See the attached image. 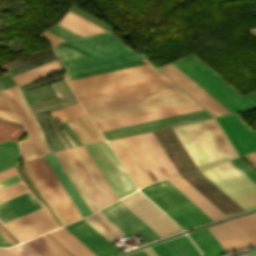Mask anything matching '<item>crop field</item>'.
Listing matches in <instances>:
<instances>
[{"label":"crop field","mask_w":256,"mask_h":256,"mask_svg":"<svg viewBox=\"0 0 256 256\" xmlns=\"http://www.w3.org/2000/svg\"><path fill=\"white\" fill-rule=\"evenodd\" d=\"M55 53L68 73H77L109 65L143 59L110 32L61 43Z\"/></svg>","instance_id":"crop-field-1"},{"label":"crop field","mask_w":256,"mask_h":256,"mask_svg":"<svg viewBox=\"0 0 256 256\" xmlns=\"http://www.w3.org/2000/svg\"><path fill=\"white\" fill-rule=\"evenodd\" d=\"M172 64L231 113L256 109V104L254 105L245 98L193 53L172 62Z\"/></svg>","instance_id":"crop-field-2"},{"label":"crop field","mask_w":256,"mask_h":256,"mask_svg":"<svg viewBox=\"0 0 256 256\" xmlns=\"http://www.w3.org/2000/svg\"><path fill=\"white\" fill-rule=\"evenodd\" d=\"M140 190L185 229L212 221L167 180L147 185Z\"/></svg>","instance_id":"crop-field-3"},{"label":"crop field","mask_w":256,"mask_h":256,"mask_svg":"<svg viewBox=\"0 0 256 256\" xmlns=\"http://www.w3.org/2000/svg\"><path fill=\"white\" fill-rule=\"evenodd\" d=\"M108 142L137 187L164 179L138 135Z\"/></svg>","instance_id":"crop-field-4"},{"label":"crop field","mask_w":256,"mask_h":256,"mask_svg":"<svg viewBox=\"0 0 256 256\" xmlns=\"http://www.w3.org/2000/svg\"><path fill=\"white\" fill-rule=\"evenodd\" d=\"M200 171L245 210L256 206V184L229 160Z\"/></svg>","instance_id":"crop-field-5"},{"label":"crop field","mask_w":256,"mask_h":256,"mask_svg":"<svg viewBox=\"0 0 256 256\" xmlns=\"http://www.w3.org/2000/svg\"><path fill=\"white\" fill-rule=\"evenodd\" d=\"M197 168L226 159L203 121L173 127Z\"/></svg>","instance_id":"crop-field-6"},{"label":"crop field","mask_w":256,"mask_h":256,"mask_svg":"<svg viewBox=\"0 0 256 256\" xmlns=\"http://www.w3.org/2000/svg\"><path fill=\"white\" fill-rule=\"evenodd\" d=\"M27 165L54 203L66 224L83 218L44 157L29 161Z\"/></svg>","instance_id":"crop-field-7"},{"label":"crop field","mask_w":256,"mask_h":256,"mask_svg":"<svg viewBox=\"0 0 256 256\" xmlns=\"http://www.w3.org/2000/svg\"><path fill=\"white\" fill-rule=\"evenodd\" d=\"M85 148L113 189L118 199L136 190L107 143L86 145Z\"/></svg>","instance_id":"crop-field-8"},{"label":"crop field","mask_w":256,"mask_h":256,"mask_svg":"<svg viewBox=\"0 0 256 256\" xmlns=\"http://www.w3.org/2000/svg\"><path fill=\"white\" fill-rule=\"evenodd\" d=\"M170 81L81 100L86 112L180 92Z\"/></svg>","instance_id":"crop-field-9"},{"label":"crop field","mask_w":256,"mask_h":256,"mask_svg":"<svg viewBox=\"0 0 256 256\" xmlns=\"http://www.w3.org/2000/svg\"><path fill=\"white\" fill-rule=\"evenodd\" d=\"M183 92L89 112L94 123L192 102Z\"/></svg>","instance_id":"crop-field-10"},{"label":"crop field","mask_w":256,"mask_h":256,"mask_svg":"<svg viewBox=\"0 0 256 256\" xmlns=\"http://www.w3.org/2000/svg\"><path fill=\"white\" fill-rule=\"evenodd\" d=\"M160 237L180 231L181 228L149 202L139 191L119 200Z\"/></svg>","instance_id":"crop-field-11"},{"label":"crop field","mask_w":256,"mask_h":256,"mask_svg":"<svg viewBox=\"0 0 256 256\" xmlns=\"http://www.w3.org/2000/svg\"><path fill=\"white\" fill-rule=\"evenodd\" d=\"M161 76L151 65L70 82L75 94Z\"/></svg>","instance_id":"crop-field-12"},{"label":"crop field","mask_w":256,"mask_h":256,"mask_svg":"<svg viewBox=\"0 0 256 256\" xmlns=\"http://www.w3.org/2000/svg\"><path fill=\"white\" fill-rule=\"evenodd\" d=\"M209 117H212V116L208 114L204 109H201L197 111H192V112L165 117L161 119H156L148 122H143L139 124H134L130 126L103 131L102 134L105 136L106 139L111 140V139L129 136L133 134L156 130L164 127H169L173 125L205 119Z\"/></svg>","instance_id":"crop-field-13"},{"label":"crop field","mask_w":256,"mask_h":256,"mask_svg":"<svg viewBox=\"0 0 256 256\" xmlns=\"http://www.w3.org/2000/svg\"><path fill=\"white\" fill-rule=\"evenodd\" d=\"M157 69L161 71L165 76H167L171 81H173L178 87H180L184 92H186L190 97H192L197 103H199L213 116L230 113L171 63Z\"/></svg>","instance_id":"crop-field-14"},{"label":"crop field","mask_w":256,"mask_h":256,"mask_svg":"<svg viewBox=\"0 0 256 256\" xmlns=\"http://www.w3.org/2000/svg\"><path fill=\"white\" fill-rule=\"evenodd\" d=\"M194 187H196L203 195L213 202L227 216L244 211L235 201L217 187L199 170L181 174Z\"/></svg>","instance_id":"crop-field-15"},{"label":"crop field","mask_w":256,"mask_h":256,"mask_svg":"<svg viewBox=\"0 0 256 256\" xmlns=\"http://www.w3.org/2000/svg\"><path fill=\"white\" fill-rule=\"evenodd\" d=\"M239 155L256 150V134L237 114L216 118Z\"/></svg>","instance_id":"crop-field-16"},{"label":"crop field","mask_w":256,"mask_h":256,"mask_svg":"<svg viewBox=\"0 0 256 256\" xmlns=\"http://www.w3.org/2000/svg\"><path fill=\"white\" fill-rule=\"evenodd\" d=\"M99 212L126 235L138 231L149 242L159 238L157 234H155L119 201Z\"/></svg>","instance_id":"crop-field-17"},{"label":"crop field","mask_w":256,"mask_h":256,"mask_svg":"<svg viewBox=\"0 0 256 256\" xmlns=\"http://www.w3.org/2000/svg\"><path fill=\"white\" fill-rule=\"evenodd\" d=\"M5 226L20 241L27 240L57 227L46 208L7 223Z\"/></svg>","instance_id":"crop-field-18"},{"label":"crop field","mask_w":256,"mask_h":256,"mask_svg":"<svg viewBox=\"0 0 256 256\" xmlns=\"http://www.w3.org/2000/svg\"><path fill=\"white\" fill-rule=\"evenodd\" d=\"M153 134L172 161L179 174L196 169L171 128L154 131Z\"/></svg>","instance_id":"crop-field-19"},{"label":"crop field","mask_w":256,"mask_h":256,"mask_svg":"<svg viewBox=\"0 0 256 256\" xmlns=\"http://www.w3.org/2000/svg\"><path fill=\"white\" fill-rule=\"evenodd\" d=\"M98 256H108L119 252L83 219L64 226Z\"/></svg>","instance_id":"crop-field-20"},{"label":"crop field","mask_w":256,"mask_h":256,"mask_svg":"<svg viewBox=\"0 0 256 256\" xmlns=\"http://www.w3.org/2000/svg\"><path fill=\"white\" fill-rule=\"evenodd\" d=\"M197 109H201V107L195 102H192L188 104L160 109V110L133 115L129 117H124L120 119L101 122V123H97L96 126L100 131H103L107 129L130 125L134 123H139L143 121H148L156 118H161V117L170 116V115L179 114V113L188 112V111L197 110Z\"/></svg>","instance_id":"crop-field-21"},{"label":"crop field","mask_w":256,"mask_h":256,"mask_svg":"<svg viewBox=\"0 0 256 256\" xmlns=\"http://www.w3.org/2000/svg\"><path fill=\"white\" fill-rule=\"evenodd\" d=\"M208 229L227 252L253 245L234 220L208 227Z\"/></svg>","instance_id":"crop-field-22"},{"label":"crop field","mask_w":256,"mask_h":256,"mask_svg":"<svg viewBox=\"0 0 256 256\" xmlns=\"http://www.w3.org/2000/svg\"><path fill=\"white\" fill-rule=\"evenodd\" d=\"M54 156L86 203L91 213L101 209L64 150L54 153Z\"/></svg>","instance_id":"crop-field-23"},{"label":"crop field","mask_w":256,"mask_h":256,"mask_svg":"<svg viewBox=\"0 0 256 256\" xmlns=\"http://www.w3.org/2000/svg\"><path fill=\"white\" fill-rule=\"evenodd\" d=\"M29 192L0 203V219L3 222L43 207Z\"/></svg>","instance_id":"crop-field-24"},{"label":"crop field","mask_w":256,"mask_h":256,"mask_svg":"<svg viewBox=\"0 0 256 256\" xmlns=\"http://www.w3.org/2000/svg\"><path fill=\"white\" fill-rule=\"evenodd\" d=\"M168 181L171 182L213 220L226 217L224 213H222L215 205H213L206 197H204L181 176L168 179Z\"/></svg>","instance_id":"crop-field-25"},{"label":"crop field","mask_w":256,"mask_h":256,"mask_svg":"<svg viewBox=\"0 0 256 256\" xmlns=\"http://www.w3.org/2000/svg\"><path fill=\"white\" fill-rule=\"evenodd\" d=\"M139 137L145 144L146 148L148 149L166 178L178 175L174 166L166 156L165 152L157 142L152 132L140 134Z\"/></svg>","instance_id":"crop-field-26"},{"label":"crop field","mask_w":256,"mask_h":256,"mask_svg":"<svg viewBox=\"0 0 256 256\" xmlns=\"http://www.w3.org/2000/svg\"><path fill=\"white\" fill-rule=\"evenodd\" d=\"M45 159L47 160V162L53 169L54 173L56 174V176L58 177V179L60 180V182L62 183V185L64 186V188L66 189V191L68 192L72 200L74 201L75 205L77 206V208L79 209L83 217L91 214L88 208L86 207V205L84 204L83 200L81 199V197L79 196V194L77 193L73 185L71 184L70 180L68 179V177L66 176V174L64 173L60 165L58 164L53 154L45 156Z\"/></svg>","instance_id":"crop-field-27"},{"label":"crop field","mask_w":256,"mask_h":256,"mask_svg":"<svg viewBox=\"0 0 256 256\" xmlns=\"http://www.w3.org/2000/svg\"><path fill=\"white\" fill-rule=\"evenodd\" d=\"M73 256H96L64 227L48 233Z\"/></svg>","instance_id":"crop-field-28"},{"label":"crop field","mask_w":256,"mask_h":256,"mask_svg":"<svg viewBox=\"0 0 256 256\" xmlns=\"http://www.w3.org/2000/svg\"><path fill=\"white\" fill-rule=\"evenodd\" d=\"M189 235L205 256H220L226 253L207 228L190 233Z\"/></svg>","instance_id":"crop-field-29"},{"label":"crop field","mask_w":256,"mask_h":256,"mask_svg":"<svg viewBox=\"0 0 256 256\" xmlns=\"http://www.w3.org/2000/svg\"><path fill=\"white\" fill-rule=\"evenodd\" d=\"M68 124L83 144L104 140L86 116L68 122Z\"/></svg>","instance_id":"crop-field-30"},{"label":"crop field","mask_w":256,"mask_h":256,"mask_svg":"<svg viewBox=\"0 0 256 256\" xmlns=\"http://www.w3.org/2000/svg\"><path fill=\"white\" fill-rule=\"evenodd\" d=\"M59 24L65 26L83 36L106 31L105 29H103V28L69 12V11L65 15V17L60 21Z\"/></svg>","instance_id":"crop-field-31"},{"label":"crop field","mask_w":256,"mask_h":256,"mask_svg":"<svg viewBox=\"0 0 256 256\" xmlns=\"http://www.w3.org/2000/svg\"><path fill=\"white\" fill-rule=\"evenodd\" d=\"M101 214L98 212L88 218H84V220L87 221L92 227H94L109 241L125 236L124 233H122L117 227H115Z\"/></svg>","instance_id":"crop-field-32"},{"label":"crop field","mask_w":256,"mask_h":256,"mask_svg":"<svg viewBox=\"0 0 256 256\" xmlns=\"http://www.w3.org/2000/svg\"><path fill=\"white\" fill-rule=\"evenodd\" d=\"M34 249L43 256H70L48 235H42L27 241Z\"/></svg>","instance_id":"crop-field-33"},{"label":"crop field","mask_w":256,"mask_h":256,"mask_svg":"<svg viewBox=\"0 0 256 256\" xmlns=\"http://www.w3.org/2000/svg\"><path fill=\"white\" fill-rule=\"evenodd\" d=\"M173 256H202L187 236H180L164 242Z\"/></svg>","instance_id":"crop-field-34"},{"label":"crop field","mask_w":256,"mask_h":256,"mask_svg":"<svg viewBox=\"0 0 256 256\" xmlns=\"http://www.w3.org/2000/svg\"><path fill=\"white\" fill-rule=\"evenodd\" d=\"M167 80L168 79H166L164 76H161V77H157V78H152V79H147V80H143V81L124 84V85H120V86H115V87L96 90V91H92V92L82 93V94H78L76 96H77L78 100H81V99H85V98L104 95V94H108V93H113V92L131 89V88H135V87L149 85V84H154V83L163 82V81H167Z\"/></svg>","instance_id":"crop-field-35"},{"label":"crop field","mask_w":256,"mask_h":256,"mask_svg":"<svg viewBox=\"0 0 256 256\" xmlns=\"http://www.w3.org/2000/svg\"><path fill=\"white\" fill-rule=\"evenodd\" d=\"M5 92H6L7 96L9 97L10 101L12 102L17 113L19 114L20 118L22 119V121L27 129V132L29 134V137L31 139V142L34 146L37 156L39 157V156L43 155V152H42L41 146L39 144V141L37 139L36 133L31 125L29 119L27 118L24 110L22 109L18 99L16 98L12 88L7 89Z\"/></svg>","instance_id":"crop-field-36"},{"label":"crop field","mask_w":256,"mask_h":256,"mask_svg":"<svg viewBox=\"0 0 256 256\" xmlns=\"http://www.w3.org/2000/svg\"><path fill=\"white\" fill-rule=\"evenodd\" d=\"M65 152L69 156L70 160L78 170L79 174L87 184L88 188L96 198L101 208L108 205L103 196L101 195V193L99 192V190L97 189V187L95 186V184L93 183V181L91 180V178L89 177V175L87 174V172L85 171V169L83 168V166L81 165V163L79 162V160L77 159V157L75 156V154L73 153V151L71 150V148L65 149Z\"/></svg>","instance_id":"crop-field-37"},{"label":"crop field","mask_w":256,"mask_h":256,"mask_svg":"<svg viewBox=\"0 0 256 256\" xmlns=\"http://www.w3.org/2000/svg\"><path fill=\"white\" fill-rule=\"evenodd\" d=\"M61 68V65L57 60L40 65L30 71L23 72L21 74L15 75L12 78H14L17 82V85L25 83L29 80L41 77L47 73H50L54 70H57Z\"/></svg>","instance_id":"crop-field-38"},{"label":"crop field","mask_w":256,"mask_h":256,"mask_svg":"<svg viewBox=\"0 0 256 256\" xmlns=\"http://www.w3.org/2000/svg\"><path fill=\"white\" fill-rule=\"evenodd\" d=\"M204 123L206 124V126L216 139L217 143L219 144L227 158L236 156V152L234 151L233 147L227 140L226 136L224 135L220 127L218 126L215 119L205 120Z\"/></svg>","instance_id":"crop-field-39"},{"label":"crop field","mask_w":256,"mask_h":256,"mask_svg":"<svg viewBox=\"0 0 256 256\" xmlns=\"http://www.w3.org/2000/svg\"><path fill=\"white\" fill-rule=\"evenodd\" d=\"M49 113L53 117V119L55 120V122L58 124V126L60 127V129L62 131H63V129L61 128V126L59 125V123L57 122V120L55 119L54 116H56L57 119L60 121V123H62V122H65V121H68L71 119H75V118L85 115L82 108L80 107L79 103L72 104V105L66 106L64 108H61L59 110L51 111ZM63 133L68 138V140L70 141L72 146H74L73 142L69 139V137L66 135V133L64 131H63Z\"/></svg>","instance_id":"crop-field-40"},{"label":"crop field","mask_w":256,"mask_h":256,"mask_svg":"<svg viewBox=\"0 0 256 256\" xmlns=\"http://www.w3.org/2000/svg\"><path fill=\"white\" fill-rule=\"evenodd\" d=\"M19 149L16 143L6 141L0 144V170L15 165L18 161Z\"/></svg>","instance_id":"crop-field-41"},{"label":"crop field","mask_w":256,"mask_h":256,"mask_svg":"<svg viewBox=\"0 0 256 256\" xmlns=\"http://www.w3.org/2000/svg\"><path fill=\"white\" fill-rule=\"evenodd\" d=\"M13 90H14L17 98L19 99L22 107L24 108L28 118L30 119V121H31V123H32V125H33V127H34V129L36 131V133H37V136L39 138V141L41 143V146L43 148V151H44L45 155L50 153V150L48 149L47 142H46V139H45V137L43 135V132H42V130H41V128H40V126H39L35 116L33 115L30 107L28 106L27 102L25 101L22 92L20 91L18 86L13 87Z\"/></svg>","instance_id":"crop-field-42"},{"label":"crop field","mask_w":256,"mask_h":256,"mask_svg":"<svg viewBox=\"0 0 256 256\" xmlns=\"http://www.w3.org/2000/svg\"><path fill=\"white\" fill-rule=\"evenodd\" d=\"M143 61L146 64H143L144 63ZM143 61L139 60V61H134V62H130V63L120 64V65H116V66L106 67V68H102V69L92 70V71H88V72L73 74V75H70V79L73 80V79H77V78H82V77H86V76H90V75L104 73V72H108V71H112V70H117V69H121V68H126V67H130V66H134V65H139V64H143V65H139V66H144V65H148L149 64L146 59H144ZM139 66H134V67H139ZM134 67H130V68H134ZM130 68H126V69H130ZM121 70H125V69H121ZM121 70H117V71H121ZM112 72H116V71H112ZM108 73H111V72H108ZM104 74H107V73H104ZM99 75H102V74H99ZM95 76H97V75H95ZM90 77H93V76H90ZM86 78H88V77H86ZM70 79H69V75L66 76L67 82H70ZM82 79H84V78H82ZM77 80H79V79H77Z\"/></svg>","instance_id":"crop-field-43"},{"label":"crop field","mask_w":256,"mask_h":256,"mask_svg":"<svg viewBox=\"0 0 256 256\" xmlns=\"http://www.w3.org/2000/svg\"><path fill=\"white\" fill-rule=\"evenodd\" d=\"M72 150L74 151V153L76 154V156L78 157V159L80 160V162L82 163V165L84 166V168L86 169V171L88 172V174L90 175V177L92 178V180L94 181V183L96 184V186L98 187V189L100 190L104 198L106 199L108 204L114 202L111 196L109 195V193L107 192V190L105 189L104 185L102 184V182L100 181V179L98 178V176L96 175V173L94 172L90 164L88 163L87 159L79 149V147H74L72 148Z\"/></svg>","instance_id":"crop-field-44"},{"label":"crop field","mask_w":256,"mask_h":256,"mask_svg":"<svg viewBox=\"0 0 256 256\" xmlns=\"http://www.w3.org/2000/svg\"><path fill=\"white\" fill-rule=\"evenodd\" d=\"M24 127L0 119V142L6 139L18 141L24 133Z\"/></svg>","instance_id":"crop-field-45"},{"label":"crop field","mask_w":256,"mask_h":256,"mask_svg":"<svg viewBox=\"0 0 256 256\" xmlns=\"http://www.w3.org/2000/svg\"><path fill=\"white\" fill-rule=\"evenodd\" d=\"M235 221L253 244L256 245V213L240 217Z\"/></svg>","instance_id":"crop-field-46"},{"label":"crop field","mask_w":256,"mask_h":256,"mask_svg":"<svg viewBox=\"0 0 256 256\" xmlns=\"http://www.w3.org/2000/svg\"><path fill=\"white\" fill-rule=\"evenodd\" d=\"M23 169L29 179V181L31 182V184L34 186V188L36 189V191L39 193V195L50 205L51 209L53 210V212L55 213L56 217L58 218V220L60 221L61 225H64L65 222L63 221V219L61 218V216L59 215V213L57 212V210L55 209V207L53 206V204L51 203V201L49 200V198L47 197V195L45 194L44 190L42 189V187L40 186V184L38 183V181L36 180V178L34 177V175L32 174V172L30 171V169L28 168V166L26 165V163H23ZM48 205V206H49Z\"/></svg>","instance_id":"crop-field-47"},{"label":"crop field","mask_w":256,"mask_h":256,"mask_svg":"<svg viewBox=\"0 0 256 256\" xmlns=\"http://www.w3.org/2000/svg\"><path fill=\"white\" fill-rule=\"evenodd\" d=\"M28 191L22 181L0 189V201Z\"/></svg>","instance_id":"crop-field-48"},{"label":"crop field","mask_w":256,"mask_h":256,"mask_svg":"<svg viewBox=\"0 0 256 256\" xmlns=\"http://www.w3.org/2000/svg\"><path fill=\"white\" fill-rule=\"evenodd\" d=\"M65 40H68V39H72V38H77V37H81V35L57 24L56 26H54L53 28L47 30Z\"/></svg>","instance_id":"crop-field-49"},{"label":"crop field","mask_w":256,"mask_h":256,"mask_svg":"<svg viewBox=\"0 0 256 256\" xmlns=\"http://www.w3.org/2000/svg\"><path fill=\"white\" fill-rule=\"evenodd\" d=\"M230 161L256 183V172L252 168H250L244 161H242L238 157L230 159Z\"/></svg>","instance_id":"crop-field-50"},{"label":"crop field","mask_w":256,"mask_h":256,"mask_svg":"<svg viewBox=\"0 0 256 256\" xmlns=\"http://www.w3.org/2000/svg\"><path fill=\"white\" fill-rule=\"evenodd\" d=\"M80 149L82 150V152L84 153V155L88 159L89 163L91 164V166L93 167V169L95 170V172L97 173V175L99 176V178L101 179L103 184L105 185L106 189L108 190V192L110 193V195L112 196L114 201L118 200L117 197L115 196V194L113 193L112 189L110 188V186L108 185V183L106 182V180L104 179L102 174L100 173L99 169L97 168V166L95 165V163L93 162L91 157L89 156V154L86 151V149L84 148V146H81Z\"/></svg>","instance_id":"crop-field-51"},{"label":"crop field","mask_w":256,"mask_h":256,"mask_svg":"<svg viewBox=\"0 0 256 256\" xmlns=\"http://www.w3.org/2000/svg\"><path fill=\"white\" fill-rule=\"evenodd\" d=\"M19 146L22 151L23 161L31 160L37 157L29 139L19 143Z\"/></svg>","instance_id":"crop-field-52"},{"label":"crop field","mask_w":256,"mask_h":256,"mask_svg":"<svg viewBox=\"0 0 256 256\" xmlns=\"http://www.w3.org/2000/svg\"><path fill=\"white\" fill-rule=\"evenodd\" d=\"M0 118L20 123L14 109L0 105Z\"/></svg>","instance_id":"crop-field-53"},{"label":"crop field","mask_w":256,"mask_h":256,"mask_svg":"<svg viewBox=\"0 0 256 256\" xmlns=\"http://www.w3.org/2000/svg\"><path fill=\"white\" fill-rule=\"evenodd\" d=\"M21 253L25 256H41L32 247H30L26 242L15 246Z\"/></svg>","instance_id":"crop-field-54"},{"label":"crop field","mask_w":256,"mask_h":256,"mask_svg":"<svg viewBox=\"0 0 256 256\" xmlns=\"http://www.w3.org/2000/svg\"><path fill=\"white\" fill-rule=\"evenodd\" d=\"M0 234L11 244H16L19 241L0 223Z\"/></svg>","instance_id":"crop-field-55"},{"label":"crop field","mask_w":256,"mask_h":256,"mask_svg":"<svg viewBox=\"0 0 256 256\" xmlns=\"http://www.w3.org/2000/svg\"><path fill=\"white\" fill-rule=\"evenodd\" d=\"M151 248L157 254V256H172L163 243L151 246Z\"/></svg>","instance_id":"crop-field-56"},{"label":"crop field","mask_w":256,"mask_h":256,"mask_svg":"<svg viewBox=\"0 0 256 256\" xmlns=\"http://www.w3.org/2000/svg\"><path fill=\"white\" fill-rule=\"evenodd\" d=\"M42 36H44L49 41V43L52 45V47H54L60 41H63L62 39L46 32V31L42 34Z\"/></svg>","instance_id":"crop-field-57"},{"label":"crop field","mask_w":256,"mask_h":256,"mask_svg":"<svg viewBox=\"0 0 256 256\" xmlns=\"http://www.w3.org/2000/svg\"><path fill=\"white\" fill-rule=\"evenodd\" d=\"M18 181H20V178H19L18 174H16L14 176H11L9 178L1 180L0 181V188L5 187L7 185H10L12 183L18 182Z\"/></svg>","instance_id":"crop-field-58"},{"label":"crop field","mask_w":256,"mask_h":256,"mask_svg":"<svg viewBox=\"0 0 256 256\" xmlns=\"http://www.w3.org/2000/svg\"><path fill=\"white\" fill-rule=\"evenodd\" d=\"M14 174H16V171H15V168H14V167H12V168H10V169H7V170H5V171H2V172H0V180H1V179H4V178H6V177H9V176H11V175H14Z\"/></svg>","instance_id":"crop-field-59"},{"label":"crop field","mask_w":256,"mask_h":256,"mask_svg":"<svg viewBox=\"0 0 256 256\" xmlns=\"http://www.w3.org/2000/svg\"><path fill=\"white\" fill-rule=\"evenodd\" d=\"M0 256H18L15 252H13L10 248H1Z\"/></svg>","instance_id":"crop-field-60"},{"label":"crop field","mask_w":256,"mask_h":256,"mask_svg":"<svg viewBox=\"0 0 256 256\" xmlns=\"http://www.w3.org/2000/svg\"><path fill=\"white\" fill-rule=\"evenodd\" d=\"M243 157L247 159L254 167H256V158L253 157L250 153L243 155Z\"/></svg>","instance_id":"crop-field-61"},{"label":"crop field","mask_w":256,"mask_h":256,"mask_svg":"<svg viewBox=\"0 0 256 256\" xmlns=\"http://www.w3.org/2000/svg\"><path fill=\"white\" fill-rule=\"evenodd\" d=\"M124 256H147L146 253L143 251V249L135 251L133 253L124 255Z\"/></svg>","instance_id":"crop-field-62"},{"label":"crop field","mask_w":256,"mask_h":256,"mask_svg":"<svg viewBox=\"0 0 256 256\" xmlns=\"http://www.w3.org/2000/svg\"><path fill=\"white\" fill-rule=\"evenodd\" d=\"M246 96H248L252 101H254L256 103V90L246 94ZM255 132H256V130H255Z\"/></svg>","instance_id":"crop-field-63"},{"label":"crop field","mask_w":256,"mask_h":256,"mask_svg":"<svg viewBox=\"0 0 256 256\" xmlns=\"http://www.w3.org/2000/svg\"><path fill=\"white\" fill-rule=\"evenodd\" d=\"M44 114V113H43ZM45 116V115H44ZM46 117V116H45ZM47 119V117H46ZM48 120V119H47ZM48 122L50 123V121L48 120ZM50 125L52 126V124L50 123ZM52 128L54 129L56 135L58 136V138L60 139V141L63 143V145L65 146V148H67V144L64 142V140L61 138V136L58 134V132L55 130V128L52 126Z\"/></svg>","instance_id":"crop-field-64"},{"label":"crop field","mask_w":256,"mask_h":256,"mask_svg":"<svg viewBox=\"0 0 256 256\" xmlns=\"http://www.w3.org/2000/svg\"><path fill=\"white\" fill-rule=\"evenodd\" d=\"M0 246H11V245L0 235Z\"/></svg>","instance_id":"crop-field-65"},{"label":"crop field","mask_w":256,"mask_h":256,"mask_svg":"<svg viewBox=\"0 0 256 256\" xmlns=\"http://www.w3.org/2000/svg\"><path fill=\"white\" fill-rule=\"evenodd\" d=\"M144 250L149 256H156V254L151 250L150 247L144 248Z\"/></svg>","instance_id":"crop-field-66"},{"label":"crop field","mask_w":256,"mask_h":256,"mask_svg":"<svg viewBox=\"0 0 256 256\" xmlns=\"http://www.w3.org/2000/svg\"><path fill=\"white\" fill-rule=\"evenodd\" d=\"M0 104L5 105V106L12 107L11 104L9 103V101L4 100V99H0Z\"/></svg>","instance_id":"crop-field-67"},{"label":"crop field","mask_w":256,"mask_h":256,"mask_svg":"<svg viewBox=\"0 0 256 256\" xmlns=\"http://www.w3.org/2000/svg\"><path fill=\"white\" fill-rule=\"evenodd\" d=\"M249 254L251 256H256V249H253V250L249 251Z\"/></svg>","instance_id":"crop-field-68"},{"label":"crop field","mask_w":256,"mask_h":256,"mask_svg":"<svg viewBox=\"0 0 256 256\" xmlns=\"http://www.w3.org/2000/svg\"><path fill=\"white\" fill-rule=\"evenodd\" d=\"M235 256H250V255L248 254V252H244V253L237 254Z\"/></svg>","instance_id":"crop-field-69"},{"label":"crop field","mask_w":256,"mask_h":256,"mask_svg":"<svg viewBox=\"0 0 256 256\" xmlns=\"http://www.w3.org/2000/svg\"><path fill=\"white\" fill-rule=\"evenodd\" d=\"M16 248V247H15ZM14 247H12L11 249L13 250V251H15L19 256H24V255H22L18 250H16Z\"/></svg>","instance_id":"crop-field-70"},{"label":"crop field","mask_w":256,"mask_h":256,"mask_svg":"<svg viewBox=\"0 0 256 256\" xmlns=\"http://www.w3.org/2000/svg\"><path fill=\"white\" fill-rule=\"evenodd\" d=\"M0 98L7 99L6 96L4 95L3 91L0 90Z\"/></svg>","instance_id":"crop-field-71"},{"label":"crop field","mask_w":256,"mask_h":256,"mask_svg":"<svg viewBox=\"0 0 256 256\" xmlns=\"http://www.w3.org/2000/svg\"><path fill=\"white\" fill-rule=\"evenodd\" d=\"M251 154L256 157V151L251 152Z\"/></svg>","instance_id":"crop-field-72"},{"label":"crop field","mask_w":256,"mask_h":256,"mask_svg":"<svg viewBox=\"0 0 256 256\" xmlns=\"http://www.w3.org/2000/svg\"><path fill=\"white\" fill-rule=\"evenodd\" d=\"M251 33H256V29L250 30Z\"/></svg>","instance_id":"crop-field-73"},{"label":"crop field","mask_w":256,"mask_h":256,"mask_svg":"<svg viewBox=\"0 0 256 256\" xmlns=\"http://www.w3.org/2000/svg\"><path fill=\"white\" fill-rule=\"evenodd\" d=\"M0 88H2V89H6L5 87H3L1 84H0Z\"/></svg>","instance_id":"crop-field-74"}]
</instances>
